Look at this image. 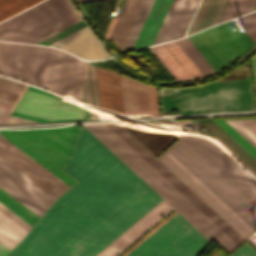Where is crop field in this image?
Listing matches in <instances>:
<instances>
[{
    "label": "crop field",
    "mask_w": 256,
    "mask_h": 256,
    "mask_svg": "<svg viewBox=\"0 0 256 256\" xmlns=\"http://www.w3.org/2000/svg\"><path fill=\"white\" fill-rule=\"evenodd\" d=\"M87 131L63 167L79 182L6 256H118L173 210Z\"/></svg>",
    "instance_id": "1"
},
{
    "label": "crop field",
    "mask_w": 256,
    "mask_h": 256,
    "mask_svg": "<svg viewBox=\"0 0 256 256\" xmlns=\"http://www.w3.org/2000/svg\"><path fill=\"white\" fill-rule=\"evenodd\" d=\"M157 159L244 240L256 231V207L181 139Z\"/></svg>",
    "instance_id": "2"
},
{
    "label": "crop field",
    "mask_w": 256,
    "mask_h": 256,
    "mask_svg": "<svg viewBox=\"0 0 256 256\" xmlns=\"http://www.w3.org/2000/svg\"><path fill=\"white\" fill-rule=\"evenodd\" d=\"M200 0H125L120 15L112 17L107 31L104 35L108 38L113 25L114 28L109 36V40L114 41L120 48L121 52L145 47L155 43L167 41L170 39L184 36L193 13ZM154 43V44H155Z\"/></svg>",
    "instance_id": "3"
},
{
    "label": "crop field",
    "mask_w": 256,
    "mask_h": 256,
    "mask_svg": "<svg viewBox=\"0 0 256 256\" xmlns=\"http://www.w3.org/2000/svg\"><path fill=\"white\" fill-rule=\"evenodd\" d=\"M85 67L80 60V99ZM0 74L79 100V59L54 48L0 42Z\"/></svg>",
    "instance_id": "4"
},
{
    "label": "crop field",
    "mask_w": 256,
    "mask_h": 256,
    "mask_svg": "<svg viewBox=\"0 0 256 256\" xmlns=\"http://www.w3.org/2000/svg\"><path fill=\"white\" fill-rule=\"evenodd\" d=\"M84 126L210 242L214 240L227 254L236 247L237 244L234 241L105 124Z\"/></svg>",
    "instance_id": "5"
},
{
    "label": "crop field",
    "mask_w": 256,
    "mask_h": 256,
    "mask_svg": "<svg viewBox=\"0 0 256 256\" xmlns=\"http://www.w3.org/2000/svg\"><path fill=\"white\" fill-rule=\"evenodd\" d=\"M162 112L182 115L255 111L251 80L210 82L188 88H160Z\"/></svg>",
    "instance_id": "6"
},
{
    "label": "crop field",
    "mask_w": 256,
    "mask_h": 256,
    "mask_svg": "<svg viewBox=\"0 0 256 256\" xmlns=\"http://www.w3.org/2000/svg\"><path fill=\"white\" fill-rule=\"evenodd\" d=\"M80 21L69 0H45L0 23V40L36 44Z\"/></svg>",
    "instance_id": "7"
},
{
    "label": "crop field",
    "mask_w": 256,
    "mask_h": 256,
    "mask_svg": "<svg viewBox=\"0 0 256 256\" xmlns=\"http://www.w3.org/2000/svg\"><path fill=\"white\" fill-rule=\"evenodd\" d=\"M79 130L74 126H67L0 130V134L71 187L77 181L60 168L68 160Z\"/></svg>",
    "instance_id": "8"
},
{
    "label": "crop field",
    "mask_w": 256,
    "mask_h": 256,
    "mask_svg": "<svg viewBox=\"0 0 256 256\" xmlns=\"http://www.w3.org/2000/svg\"><path fill=\"white\" fill-rule=\"evenodd\" d=\"M24 84L0 77V98L16 101ZM89 109L25 85L10 115L43 123L84 120Z\"/></svg>",
    "instance_id": "9"
},
{
    "label": "crop field",
    "mask_w": 256,
    "mask_h": 256,
    "mask_svg": "<svg viewBox=\"0 0 256 256\" xmlns=\"http://www.w3.org/2000/svg\"><path fill=\"white\" fill-rule=\"evenodd\" d=\"M209 243L210 242L206 238H204L195 228H193L183 217H181L176 212L134 249L132 248L135 245L131 247L128 251L131 249L132 250L127 255L125 254L128 251L125 252L122 256H197ZM219 251L220 250L216 248L208 256H214Z\"/></svg>",
    "instance_id": "10"
},
{
    "label": "crop field",
    "mask_w": 256,
    "mask_h": 256,
    "mask_svg": "<svg viewBox=\"0 0 256 256\" xmlns=\"http://www.w3.org/2000/svg\"><path fill=\"white\" fill-rule=\"evenodd\" d=\"M188 38L216 72L256 46L232 20L188 36Z\"/></svg>",
    "instance_id": "11"
},
{
    "label": "crop field",
    "mask_w": 256,
    "mask_h": 256,
    "mask_svg": "<svg viewBox=\"0 0 256 256\" xmlns=\"http://www.w3.org/2000/svg\"><path fill=\"white\" fill-rule=\"evenodd\" d=\"M181 139L256 206V181L216 143L190 134Z\"/></svg>",
    "instance_id": "12"
},
{
    "label": "crop field",
    "mask_w": 256,
    "mask_h": 256,
    "mask_svg": "<svg viewBox=\"0 0 256 256\" xmlns=\"http://www.w3.org/2000/svg\"><path fill=\"white\" fill-rule=\"evenodd\" d=\"M0 188L39 217L57 198L1 156Z\"/></svg>",
    "instance_id": "13"
},
{
    "label": "crop field",
    "mask_w": 256,
    "mask_h": 256,
    "mask_svg": "<svg viewBox=\"0 0 256 256\" xmlns=\"http://www.w3.org/2000/svg\"><path fill=\"white\" fill-rule=\"evenodd\" d=\"M106 125L111 128L120 138H122L131 148H133L142 158H144L153 168H155L164 178H166L176 189H178L187 199H189L198 209H200L238 245L244 241L238 234H236L237 232L235 230L234 231L236 233L117 123H110Z\"/></svg>",
    "instance_id": "14"
},
{
    "label": "crop field",
    "mask_w": 256,
    "mask_h": 256,
    "mask_svg": "<svg viewBox=\"0 0 256 256\" xmlns=\"http://www.w3.org/2000/svg\"><path fill=\"white\" fill-rule=\"evenodd\" d=\"M0 155L57 197L70 188L1 135Z\"/></svg>",
    "instance_id": "15"
},
{
    "label": "crop field",
    "mask_w": 256,
    "mask_h": 256,
    "mask_svg": "<svg viewBox=\"0 0 256 256\" xmlns=\"http://www.w3.org/2000/svg\"><path fill=\"white\" fill-rule=\"evenodd\" d=\"M120 78L125 117L159 115L155 86L121 74Z\"/></svg>",
    "instance_id": "16"
},
{
    "label": "crop field",
    "mask_w": 256,
    "mask_h": 256,
    "mask_svg": "<svg viewBox=\"0 0 256 256\" xmlns=\"http://www.w3.org/2000/svg\"><path fill=\"white\" fill-rule=\"evenodd\" d=\"M150 48L176 81L203 77L175 41Z\"/></svg>",
    "instance_id": "17"
},
{
    "label": "crop field",
    "mask_w": 256,
    "mask_h": 256,
    "mask_svg": "<svg viewBox=\"0 0 256 256\" xmlns=\"http://www.w3.org/2000/svg\"><path fill=\"white\" fill-rule=\"evenodd\" d=\"M50 46L64 49L86 60H97L109 57L87 26Z\"/></svg>",
    "instance_id": "18"
},
{
    "label": "crop field",
    "mask_w": 256,
    "mask_h": 256,
    "mask_svg": "<svg viewBox=\"0 0 256 256\" xmlns=\"http://www.w3.org/2000/svg\"><path fill=\"white\" fill-rule=\"evenodd\" d=\"M124 129L154 157L173 142L180 133L133 124Z\"/></svg>",
    "instance_id": "19"
},
{
    "label": "crop field",
    "mask_w": 256,
    "mask_h": 256,
    "mask_svg": "<svg viewBox=\"0 0 256 256\" xmlns=\"http://www.w3.org/2000/svg\"><path fill=\"white\" fill-rule=\"evenodd\" d=\"M102 107L123 113L118 72L97 67ZM124 114V113H123Z\"/></svg>",
    "instance_id": "20"
},
{
    "label": "crop field",
    "mask_w": 256,
    "mask_h": 256,
    "mask_svg": "<svg viewBox=\"0 0 256 256\" xmlns=\"http://www.w3.org/2000/svg\"><path fill=\"white\" fill-rule=\"evenodd\" d=\"M226 2L227 0H202L187 35L216 24Z\"/></svg>",
    "instance_id": "21"
},
{
    "label": "crop field",
    "mask_w": 256,
    "mask_h": 256,
    "mask_svg": "<svg viewBox=\"0 0 256 256\" xmlns=\"http://www.w3.org/2000/svg\"><path fill=\"white\" fill-rule=\"evenodd\" d=\"M23 228L0 212V242L12 249L26 234ZM0 243V256L5 255L10 249Z\"/></svg>",
    "instance_id": "22"
},
{
    "label": "crop field",
    "mask_w": 256,
    "mask_h": 256,
    "mask_svg": "<svg viewBox=\"0 0 256 256\" xmlns=\"http://www.w3.org/2000/svg\"><path fill=\"white\" fill-rule=\"evenodd\" d=\"M81 103L101 111L97 78H96V70L94 66H91L88 64L86 67L84 91H83Z\"/></svg>",
    "instance_id": "23"
},
{
    "label": "crop field",
    "mask_w": 256,
    "mask_h": 256,
    "mask_svg": "<svg viewBox=\"0 0 256 256\" xmlns=\"http://www.w3.org/2000/svg\"><path fill=\"white\" fill-rule=\"evenodd\" d=\"M176 42L200 69L204 76L215 73L213 68L208 64V62L203 58V56L198 52V50L193 46L187 37L176 40Z\"/></svg>",
    "instance_id": "24"
},
{
    "label": "crop field",
    "mask_w": 256,
    "mask_h": 256,
    "mask_svg": "<svg viewBox=\"0 0 256 256\" xmlns=\"http://www.w3.org/2000/svg\"><path fill=\"white\" fill-rule=\"evenodd\" d=\"M0 202L32 226L39 218L1 189H0Z\"/></svg>",
    "instance_id": "25"
},
{
    "label": "crop field",
    "mask_w": 256,
    "mask_h": 256,
    "mask_svg": "<svg viewBox=\"0 0 256 256\" xmlns=\"http://www.w3.org/2000/svg\"><path fill=\"white\" fill-rule=\"evenodd\" d=\"M256 0H228L219 22L250 12ZM218 22V23H219Z\"/></svg>",
    "instance_id": "26"
},
{
    "label": "crop field",
    "mask_w": 256,
    "mask_h": 256,
    "mask_svg": "<svg viewBox=\"0 0 256 256\" xmlns=\"http://www.w3.org/2000/svg\"><path fill=\"white\" fill-rule=\"evenodd\" d=\"M41 0H0V21L34 5Z\"/></svg>",
    "instance_id": "27"
},
{
    "label": "crop field",
    "mask_w": 256,
    "mask_h": 256,
    "mask_svg": "<svg viewBox=\"0 0 256 256\" xmlns=\"http://www.w3.org/2000/svg\"><path fill=\"white\" fill-rule=\"evenodd\" d=\"M226 133H228L237 143H239L248 153L256 159V148H254L244 137H242L232 126H230L223 118L212 119Z\"/></svg>",
    "instance_id": "28"
},
{
    "label": "crop field",
    "mask_w": 256,
    "mask_h": 256,
    "mask_svg": "<svg viewBox=\"0 0 256 256\" xmlns=\"http://www.w3.org/2000/svg\"><path fill=\"white\" fill-rule=\"evenodd\" d=\"M256 147V119L227 121Z\"/></svg>",
    "instance_id": "29"
},
{
    "label": "crop field",
    "mask_w": 256,
    "mask_h": 256,
    "mask_svg": "<svg viewBox=\"0 0 256 256\" xmlns=\"http://www.w3.org/2000/svg\"><path fill=\"white\" fill-rule=\"evenodd\" d=\"M240 21L247 29V34L256 44V11L239 17Z\"/></svg>",
    "instance_id": "30"
},
{
    "label": "crop field",
    "mask_w": 256,
    "mask_h": 256,
    "mask_svg": "<svg viewBox=\"0 0 256 256\" xmlns=\"http://www.w3.org/2000/svg\"><path fill=\"white\" fill-rule=\"evenodd\" d=\"M0 211L3 212L5 215H7L9 218H11L13 221H15L17 224H19L21 227H23L25 230H29L32 226H30L28 223H26L24 220H22L20 217H18L16 214H14L12 211H10L8 208H6L4 205L0 203Z\"/></svg>",
    "instance_id": "31"
},
{
    "label": "crop field",
    "mask_w": 256,
    "mask_h": 256,
    "mask_svg": "<svg viewBox=\"0 0 256 256\" xmlns=\"http://www.w3.org/2000/svg\"><path fill=\"white\" fill-rule=\"evenodd\" d=\"M230 256H256V250L246 242Z\"/></svg>",
    "instance_id": "32"
},
{
    "label": "crop field",
    "mask_w": 256,
    "mask_h": 256,
    "mask_svg": "<svg viewBox=\"0 0 256 256\" xmlns=\"http://www.w3.org/2000/svg\"><path fill=\"white\" fill-rule=\"evenodd\" d=\"M21 122H33V121L0 114V123H21Z\"/></svg>",
    "instance_id": "33"
},
{
    "label": "crop field",
    "mask_w": 256,
    "mask_h": 256,
    "mask_svg": "<svg viewBox=\"0 0 256 256\" xmlns=\"http://www.w3.org/2000/svg\"><path fill=\"white\" fill-rule=\"evenodd\" d=\"M14 102L9 100L0 99V112L9 114Z\"/></svg>",
    "instance_id": "34"
},
{
    "label": "crop field",
    "mask_w": 256,
    "mask_h": 256,
    "mask_svg": "<svg viewBox=\"0 0 256 256\" xmlns=\"http://www.w3.org/2000/svg\"><path fill=\"white\" fill-rule=\"evenodd\" d=\"M251 62H252V70H253L254 85H255V92H256V55L251 58Z\"/></svg>",
    "instance_id": "35"
},
{
    "label": "crop field",
    "mask_w": 256,
    "mask_h": 256,
    "mask_svg": "<svg viewBox=\"0 0 256 256\" xmlns=\"http://www.w3.org/2000/svg\"><path fill=\"white\" fill-rule=\"evenodd\" d=\"M218 143H220L227 151H229L238 161H240L246 168H248L233 152H231L218 138L215 139ZM255 176L256 174L248 168Z\"/></svg>",
    "instance_id": "36"
},
{
    "label": "crop field",
    "mask_w": 256,
    "mask_h": 256,
    "mask_svg": "<svg viewBox=\"0 0 256 256\" xmlns=\"http://www.w3.org/2000/svg\"><path fill=\"white\" fill-rule=\"evenodd\" d=\"M252 244H254L256 246V239L254 238V236H252L251 238L248 239Z\"/></svg>",
    "instance_id": "37"
},
{
    "label": "crop field",
    "mask_w": 256,
    "mask_h": 256,
    "mask_svg": "<svg viewBox=\"0 0 256 256\" xmlns=\"http://www.w3.org/2000/svg\"><path fill=\"white\" fill-rule=\"evenodd\" d=\"M79 1H86V0H79Z\"/></svg>",
    "instance_id": "38"
}]
</instances>
